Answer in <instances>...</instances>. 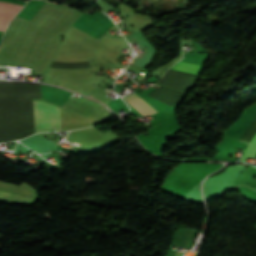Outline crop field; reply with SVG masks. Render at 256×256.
Masks as SVG:
<instances>
[{
  "mask_svg": "<svg viewBox=\"0 0 256 256\" xmlns=\"http://www.w3.org/2000/svg\"><path fill=\"white\" fill-rule=\"evenodd\" d=\"M22 8L7 2H0V31H4L12 17Z\"/></svg>",
  "mask_w": 256,
  "mask_h": 256,
  "instance_id": "34b2d1b8",
  "label": "crop field"
},
{
  "mask_svg": "<svg viewBox=\"0 0 256 256\" xmlns=\"http://www.w3.org/2000/svg\"><path fill=\"white\" fill-rule=\"evenodd\" d=\"M49 104L43 101H33L36 133L41 131H61L60 108Z\"/></svg>",
  "mask_w": 256,
  "mask_h": 256,
  "instance_id": "8a807250",
  "label": "crop field"
},
{
  "mask_svg": "<svg viewBox=\"0 0 256 256\" xmlns=\"http://www.w3.org/2000/svg\"><path fill=\"white\" fill-rule=\"evenodd\" d=\"M201 67H202V65L178 61L172 67V69L181 70V71H185V72H190V73H194V74L198 75L199 72H200Z\"/></svg>",
  "mask_w": 256,
  "mask_h": 256,
  "instance_id": "f4fd0767",
  "label": "crop field"
},
{
  "mask_svg": "<svg viewBox=\"0 0 256 256\" xmlns=\"http://www.w3.org/2000/svg\"><path fill=\"white\" fill-rule=\"evenodd\" d=\"M256 117V104L243 110L239 118L227 129L224 136L240 140Z\"/></svg>",
  "mask_w": 256,
  "mask_h": 256,
  "instance_id": "ac0d7876",
  "label": "crop field"
},
{
  "mask_svg": "<svg viewBox=\"0 0 256 256\" xmlns=\"http://www.w3.org/2000/svg\"><path fill=\"white\" fill-rule=\"evenodd\" d=\"M256 152V136L255 138L249 143L241 161L245 162L247 156L253 157L254 153Z\"/></svg>",
  "mask_w": 256,
  "mask_h": 256,
  "instance_id": "dd49c442",
  "label": "crop field"
},
{
  "mask_svg": "<svg viewBox=\"0 0 256 256\" xmlns=\"http://www.w3.org/2000/svg\"><path fill=\"white\" fill-rule=\"evenodd\" d=\"M130 105H132L138 112H140L143 116L152 115L157 111L153 109L150 105L144 102L141 98H139L135 93L124 98Z\"/></svg>",
  "mask_w": 256,
  "mask_h": 256,
  "instance_id": "412701ff",
  "label": "crop field"
}]
</instances>
